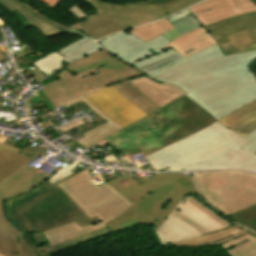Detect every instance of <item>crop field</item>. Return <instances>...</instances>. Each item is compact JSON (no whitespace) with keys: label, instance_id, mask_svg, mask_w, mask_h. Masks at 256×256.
<instances>
[{"label":"crop field","instance_id":"obj_19","mask_svg":"<svg viewBox=\"0 0 256 256\" xmlns=\"http://www.w3.org/2000/svg\"><path fill=\"white\" fill-rule=\"evenodd\" d=\"M243 230L232 226L227 229H224L220 232L208 234L205 236L189 239L186 241L173 243L169 245H178V246H190V247H198V246H209V245H219L222 242L227 240H231L237 236L244 234Z\"/></svg>","mask_w":256,"mask_h":256},{"label":"crop field","instance_id":"obj_30","mask_svg":"<svg viewBox=\"0 0 256 256\" xmlns=\"http://www.w3.org/2000/svg\"><path fill=\"white\" fill-rule=\"evenodd\" d=\"M231 217L234 221L256 231V206L237 212Z\"/></svg>","mask_w":256,"mask_h":256},{"label":"crop field","instance_id":"obj_21","mask_svg":"<svg viewBox=\"0 0 256 256\" xmlns=\"http://www.w3.org/2000/svg\"><path fill=\"white\" fill-rule=\"evenodd\" d=\"M108 233H111V231L108 230L107 228H105V229L96 231L94 233L88 234L86 236H83V237H80V238H77V239H74V240L67 241V242H65L61 245H58V246H55V247H52V248H50L48 243L37 247L35 245V243L33 242V240L31 239V237L29 236V234H26L24 236H25V239L27 240V243L35 250V252L37 253L38 256H50V254L68 249V248L73 247L77 244L84 243L88 240L106 235Z\"/></svg>","mask_w":256,"mask_h":256},{"label":"crop field","instance_id":"obj_25","mask_svg":"<svg viewBox=\"0 0 256 256\" xmlns=\"http://www.w3.org/2000/svg\"><path fill=\"white\" fill-rule=\"evenodd\" d=\"M246 29H249L252 39L254 41V44L236 48L237 53H242V52L256 50V18L246 20L241 23L229 25V26L217 29V30H213L211 32L214 34L215 38L217 39V38L228 36V35L238 32V31H242V30H246Z\"/></svg>","mask_w":256,"mask_h":256},{"label":"crop field","instance_id":"obj_15","mask_svg":"<svg viewBox=\"0 0 256 256\" xmlns=\"http://www.w3.org/2000/svg\"><path fill=\"white\" fill-rule=\"evenodd\" d=\"M215 43L216 42L212 38L211 34H209L205 28L201 27L195 31H191L183 36L178 37L166 47H164L162 51L172 47L177 52L186 57Z\"/></svg>","mask_w":256,"mask_h":256},{"label":"crop field","instance_id":"obj_27","mask_svg":"<svg viewBox=\"0 0 256 256\" xmlns=\"http://www.w3.org/2000/svg\"><path fill=\"white\" fill-rule=\"evenodd\" d=\"M172 28H174L173 25H171L167 19H164L149 25L137 27L127 31L135 34L146 42Z\"/></svg>","mask_w":256,"mask_h":256},{"label":"crop field","instance_id":"obj_36","mask_svg":"<svg viewBox=\"0 0 256 256\" xmlns=\"http://www.w3.org/2000/svg\"><path fill=\"white\" fill-rule=\"evenodd\" d=\"M233 2L237 9L254 5L250 0H233Z\"/></svg>","mask_w":256,"mask_h":256},{"label":"crop field","instance_id":"obj_34","mask_svg":"<svg viewBox=\"0 0 256 256\" xmlns=\"http://www.w3.org/2000/svg\"><path fill=\"white\" fill-rule=\"evenodd\" d=\"M243 138L249 140L250 143L245 145L244 147H242V149H244L252 154H255V152H256V130Z\"/></svg>","mask_w":256,"mask_h":256},{"label":"crop field","instance_id":"obj_14","mask_svg":"<svg viewBox=\"0 0 256 256\" xmlns=\"http://www.w3.org/2000/svg\"><path fill=\"white\" fill-rule=\"evenodd\" d=\"M132 84L161 108L186 92L173 84H161L144 76L131 80Z\"/></svg>","mask_w":256,"mask_h":256},{"label":"crop field","instance_id":"obj_3","mask_svg":"<svg viewBox=\"0 0 256 256\" xmlns=\"http://www.w3.org/2000/svg\"><path fill=\"white\" fill-rule=\"evenodd\" d=\"M108 181L117 192L134 204L114 221L106 224L113 233L139 223L151 225L162 245L201 236L196 229L170 212L183 196L196 190L191 178L182 173L155 174L138 185L129 176Z\"/></svg>","mask_w":256,"mask_h":256},{"label":"crop field","instance_id":"obj_42","mask_svg":"<svg viewBox=\"0 0 256 256\" xmlns=\"http://www.w3.org/2000/svg\"><path fill=\"white\" fill-rule=\"evenodd\" d=\"M5 58L3 54H0V60Z\"/></svg>","mask_w":256,"mask_h":256},{"label":"crop field","instance_id":"obj_41","mask_svg":"<svg viewBox=\"0 0 256 256\" xmlns=\"http://www.w3.org/2000/svg\"><path fill=\"white\" fill-rule=\"evenodd\" d=\"M106 144H107V142H105L104 140L99 142V143H97V145H99L100 147H102V146H104Z\"/></svg>","mask_w":256,"mask_h":256},{"label":"crop field","instance_id":"obj_10","mask_svg":"<svg viewBox=\"0 0 256 256\" xmlns=\"http://www.w3.org/2000/svg\"><path fill=\"white\" fill-rule=\"evenodd\" d=\"M85 98L108 118L112 119L123 128L147 116L124 99L113 86L103 88L85 96Z\"/></svg>","mask_w":256,"mask_h":256},{"label":"crop field","instance_id":"obj_7","mask_svg":"<svg viewBox=\"0 0 256 256\" xmlns=\"http://www.w3.org/2000/svg\"><path fill=\"white\" fill-rule=\"evenodd\" d=\"M91 1L102 13L73 26H79L77 29L97 40L115 31L168 16L201 0H145L117 4Z\"/></svg>","mask_w":256,"mask_h":256},{"label":"crop field","instance_id":"obj_4","mask_svg":"<svg viewBox=\"0 0 256 256\" xmlns=\"http://www.w3.org/2000/svg\"><path fill=\"white\" fill-rule=\"evenodd\" d=\"M247 143L249 141L216 122L144 158L154 171L221 168L256 171V156L239 149Z\"/></svg>","mask_w":256,"mask_h":256},{"label":"crop field","instance_id":"obj_18","mask_svg":"<svg viewBox=\"0 0 256 256\" xmlns=\"http://www.w3.org/2000/svg\"><path fill=\"white\" fill-rule=\"evenodd\" d=\"M0 4H2L10 11L15 9L20 15L23 16L25 21L32 25L39 33H41L46 38L57 34L65 33L48 24L39 16L30 12L16 0H0Z\"/></svg>","mask_w":256,"mask_h":256},{"label":"crop field","instance_id":"obj_32","mask_svg":"<svg viewBox=\"0 0 256 256\" xmlns=\"http://www.w3.org/2000/svg\"><path fill=\"white\" fill-rule=\"evenodd\" d=\"M174 27L179 31L181 35L194 30L198 27H201V25L198 23V21L194 18L193 14L189 15L181 20H178L174 23H172Z\"/></svg>","mask_w":256,"mask_h":256},{"label":"crop field","instance_id":"obj_16","mask_svg":"<svg viewBox=\"0 0 256 256\" xmlns=\"http://www.w3.org/2000/svg\"><path fill=\"white\" fill-rule=\"evenodd\" d=\"M217 122L242 137L247 135L256 129V101L238 109Z\"/></svg>","mask_w":256,"mask_h":256},{"label":"crop field","instance_id":"obj_28","mask_svg":"<svg viewBox=\"0 0 256 256\" xmlns=\"http://www.w3.org/2000/svg\"><path fill=\"white\" fill-rule=\"evenodd\" d=\"M62 61H65L66 63L70 62L55 51L32 64L37 66L38 69H40L44 74L48 76L49 74L63 66Z\"/></svg>","mask_w":256,"mask_h":256},{"label":"crop field","instance_id":"obj_35","mask_svg":"<svg viewBox=\"0 0 256 256\" xmlns=\"http://www.w3.org/2000/svg\"><path fill=\"white\" fill-rule=\"evenodd\" d=\"M70 13H72L74 16H76L79 20L86 17V15L74 4L72 7L68 10Z\"/></svg>","mask_w":256,"mask_h":256},{"label":"crop field","instance_id":"obj_11","mask_svg":"<svg viewBox=\"0 0 256 256\" xmlns=\"http://www.w3.org/2000/svg\"><path fill=\"white\" fill-rule=\"evenodd\" d=\"M118 60L116 57L105 51L103 48L97 52L89 54L69 65L65 68L69 74L59 78L74 99L90 93L83 82V76L96 74V69Z\"/></svg>","mask_w":256,"mask_h":256},{"label":"crop field","instance_id":"obj_17","mask_svg":"<svg viewBox=\"0 0 256 256\" xmlns=\"http://www.w3.org/2000/svg\"><path fill=\"white\" fill-rule=\"evenodd\" d=\"M80 101L85 103L96 114H98L101 118L107 120L108 122L94 128L88 132L83 133L85 136L76 142H78L81 145L88 148V147L92 146L93 144H95L96 142L108 137L109 135L113 134L117 130L121 129V127L119 125L114 123L112 120L108 119L105 115H103L100 111H98L93 105H91L84 97L77 99L75 101H72V102L68 103V105L71 106Z\"/></svg>","mask_w":256,"mask_h":256},{"label":"crop field","instance_id":"obj_38","mask_svg":"<svg viewBox=\"0 0 256 256\" xmlns=\"http://www.w3.org/2000/svg\"><path fill=\"white\" fill-rule=\"evenodd\" d=\"M41 1H43L44 3H46V5H48L50 8H52L53 11H54L55 6H56V4H57V2H58V0H41Z\"/></svg>","mask_w":256,"mask_h":256},{"label":"crop field","instance_id":"obj_23","mask_svg":"<svg viewBox=\"0 0 256 256\" xmlns=\"http://www.w3.org/2000/svg\"><path fill=\"white\" fill-rule=\"evenodd\" d=\"M114 87L124 98H126L128 101L133 103L135 106H137L139 109H141L148 115L160 109V107H158L156 104L150 101L142 93H140L131 84L130 81L119 84V85H115Z\"/></svg>","mask_w":256,"mask_h":256},{"label":"crop field","instance_id":"obj_9","mask_svg":"<svg viewBox=\"0 0 256 256\" xmlns=\"http://www.w3.org/2000/svg\"><path fill=\"white\" fill-rule=\"evenodd\" d=\"M100 43L113 55L136 66L152 78L189 61L172 48L165 52L159 51L170 43L162 35L145 43L123 31L101 40Z\"/></svg>","mask_w":256,"mask_h":256},{"label":"crop field","instance_id":"obj_44","mask_svg":"<svg viewBox=\"0 0 256 256\" xmlns=\"http://www.w3.org/2000/svg\"><path fill=\"white\" fill-rule=\"evenodd\" d=\"M0 256H5V255H0Z\"/></svg>","mask_w":256,"mask_h":256},{"label":"crop field","instance_id":"obj_12","mask_svg":"<svg viewBox=\"0 0 256 256\" xmlns=\"http://www.w3.org/2000/svg\"><path fill=\"white\" fill-rule=\"evenodd\" d=\"M171 213L188 222L203 235L232 225L203 206L192 196L183 197Z\"/></svg>","mask_w":256,"mask_h":256},{"label":"crop field","instance_id":"obj_1","mask_svg":"<svg viewBox=\"0 0 256 256\" xmlns=\"http://www.w3.org/2000/svg\"><path fill=\"white\" fill-rule=\"evenodd\" d=\"M0 184V253L37 256L22 234L37 246L47 243L42 232L69 222L82 213L67 194L47 179L50 174L23 167ZM49 191V193H48Z\"/></svg>","mask_w":256,"mask_h":256},{"label":"crop field","instance_id":"obj_13","mask_svg":"<svg viewBox=\"0 0 256 256\" xmlns=\"http://www.w3.org/2000/svg\"><path fill=\"white\" fill-rule=\"evenodd\" d=\"M130 66L118 60L98 69L99 74L86 76L83 79L90 92H92L105 86L143 75L142 72Z\"/></svg>","mask_w":256,"mask_h":256},{"label":"crop field","instance_id":"obj_26","mask_svg":"<svg viewBox=\"0 0 256 256\" xmlns=\"http://www.w3.org/2000/svg\"><path fill=\"white\" fill-rule=\"evenodd\" d=\"M253 11H256V6L239 9V10H236L235 6H232V7H225V8L209 10L206 12H201V13L195 14V16L199 19V21L203 24V26H205L210 23L230 17L232 15L249 13Z\"/></svg>","mask_w":256,"mask_h":256},{"label":"crop field","instance_id":"obj_40","mask_svg":"<svg viewBox=\"0 0 256 256\" xmlns=\"http://www.w3.org/2000/svg\"><path fill=\"white\" fill-rule=\"evenodd\" d=\"M115 156H113V154L109 155V156H106L104 157L105 161H114L115 160Z\"/></svg>","mask_w":256,"mask_h":256},{"label":"crop field","instance_id":"obj_22","mask_svg":"<svg viewBox=\"0 0 256 256\" xmlns=\"http://www.w3.org/2000/svg\"><path fill=\"white\" fill-rule=\"evenodd\" d=\"M221 246L229 256H256V236L249 233L223 243Z\"/></svg>","mask_w":256,"mask_h":256},{"label":"crop field","instance_id":"obj_31","mask_svg":"<svg viewBox=\"0 0 256 256\" xmlns=\"http://www.w3.org/2000/svg\"><path fill=\"white\" fill-rule=\"evenodd\" d=\"M232 5H233L232 0H208L206 2L192 6L189 9L195 14V13L209 10V9L232 6Z\"/></svg>","mask_w":256,"mask_h":256},{"label":"crop field","instance_id":"obj_2","mask_svg":"<svg viewBox=\"0 0 256 256\" xmlns=\"http://www.w3.org/2000/svg\"><path fill=\"white\" fill-rule=\"evenodd\" d=\"M191 61L155 78L185 90L216 121L256 100L249 61L256 51L224 57L217 44L187 57Z\"/></svg>","mask_w":256,"mask_h":256},{"label":"crop field","instance_id":"obj_6","mask_svg":"<svg viewBox=\"0 0 256 256\" xmlns=\"http://www.w3.org/2000/svg\"><path fill=\"white\" fill-rule=\"evenodd\" d=\"M91 167L56 184L84 211L72 217V223L44 232L51 247L64 241L105 228L133 203L117 193L106 182L95 185L87 172Z\"/></svg>","mask_w":256,"mask_h":256},{"label":"crop field","instance_id":"obj_8","mask_svg":"<svg viewBox=\"0 0 256 256\" xmlns=\"http://www.w3.org/2000/svg\"><path fill=\"white\" fill-rule=\"evenodd\" d=\"M192 176L203 200L226 216L256 204L255 174L215 171L192 173Z\"/></svg>","mask_w":256,"mask_h":256},{"label":"crop field","instance_id":"obj_20","mask_svg":"<svg viewBox=\"0 0 256 256\" xmlns=\"http://www.w3.org/2000/svg\"><path fill=\"white\" fill-rule=\"evenodd\" d=\"M41 153L37 151L28 158L12 151L0 149V182Z\"/></svg>","mask_w":256,"mask_h":256},{"label":"crop field","instance_id":"obj_33","mask_svg":"<svg viewBox=\"0 0 256 256\" xmlns=\"http://www.w3.org/2000/svg\"><path fill=\"white\" fill-rule=\"evenodd\" d=\"M21 4H23L26 8H28L30 11H32L33 13L39 15L40 17H42L44 20H46L48 23L54 25L55 27L63 30V31H68L70 29H72V27L70 26H67V25H63V24H60V23H57L53 20H50L46 17H44L42 14H40L39 12H37L36 10H34L33 8H31L29 5H27L26 3L22 2L21 0H18Z\"/></svg>","mask_w":256,"mask_h":256},{"label":"crop field","instance_id":"obj_5","mask_svg":"<svg viewBox=\"0 0 256 256\" xmlns=\"http://www.w3.org/2000/svg\"><path fill=\"white\" fill-rule=\"evenodd\" d=\"M214 122L212 115L184 95L104 140L118 153L138 147L144 157Z\"/></svg>","mask_w":256,"mask_h":256},{"label":"crop field","instance_id":"obj_39","mask_svg":"<svg viewBox=\"0 0 256 256\" xmlns=\"http://www.w3.org/2000/svg\"><path fill=\"white\" fill-rule=\"evenodd\" d=\"M0 148L12 150V151H15V152H18V153L21 151V149H17V148H14V147H10V146L4 145V144H0Z\"/></svg>","mask_w":256,"mask_h":256},{"label":"crop field","instance_id":"obj_29","mask_svg":"<svg viewBox=\"0 0 256 256\" xmlns=\"http://www.w3.org/2000/svg\"><path fill=\"white\" fill-rule=\"evenodd\" d=\"M44 87L45 88L42 90L56 107L71 101L70 97L65 93L57 80L45 85Z\"/></svg>","mask_w":256,"mask_h":256},{"label":"crop field","instance_id":"obj_24","mask_svg":"<svg viewBox=\"0 0 256 256\" xmlns=\"http://www.w3.org/2000/svg\"><path fill=\"white\" fill-rule=\"evenodd\" d=\"M68 32L77 34V35H81L83 37V38H81V39L71 43L70 45L57 51L60 54H62L65 58H67L68 60L71 61L75 58H78L82 55L90 53L99 48L96 41H94L92 38L84 35L80 31L72 29L71 31H68Z\"/></svg>","mask_w":256,"mask_h":256},{"label":"crop field","instance_id":"obj_43","mask_svg":"<svg viewBox=\"0 0 256 256\" xmlns=\"http://www.w3.org/2000/svg\"><path fill=\"white\" fill-rule=\"evenodd\" d=\"M256 5V0H251Z\"/></svg>","mask_w":256,"mask_h":256},{"label":"crop field","instance_id":"obj_37","mask_svg":"<svg viewBox=\"0 0 256 256\" xmlns=\"http://www.w3.org/2000/svg\"><path fill=\"white\" fill-rule=\"evenodd\" d=\"M189 14H191V12L187 9V10H184V11L178 13L177 15H175L173 17L168 18V20H169L170 23H172V22H174L178 19H181V18L189 15Z\"/></svg>","mask_w":256,"mask_h":256},{"label":"crop field","instance_id":"obj_45","mask_svg":"<svg viewBox=\"0 0 256 256\" xmlns=\"http://www.w3.org/2000/svg\"><path fill=\"white\" fill-rule=\"evenodd\" d=\"M1 53V52H0Z\"/></svg>","mask_w":256,"mask_h":256}]
</instances>
